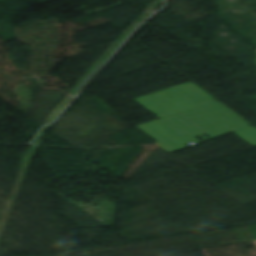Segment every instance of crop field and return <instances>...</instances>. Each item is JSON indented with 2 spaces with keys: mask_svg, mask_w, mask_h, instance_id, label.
<instances>
[{
  "mask_svg": "<svg viewBox=\"0 0 256 256\" xmlns=\"http://www.w3.org/2000/svg\"><path fill=\"white\" fill-rule=\"evenodd\" d=\"M135 100L160 118L217 102L192 82Z\"/></svg>",
  "mask_w": 256,
  "mask_h": 256,
  "instance_id": "2",
  "label": "crop field"
},
{
  "mask_svg": "<svg viewBox=\"0 0 256 256\" xmlns=\"http://www.w3.org/2000/svg\"><path fill=\"white\" fill-rule=\"evenodd\" d=\"M250 125L217 102L136 127L171 152L187 147L185 145L188 143H198L195 139L198 136L207 140L203 134L213 138L231 131L255 146L256 128Z\"/></svg>",
  "mask_w": 256,
  "mask_h": 256,
  "instance_id": "1",
  "label": "crop field"
}]
</instances>
